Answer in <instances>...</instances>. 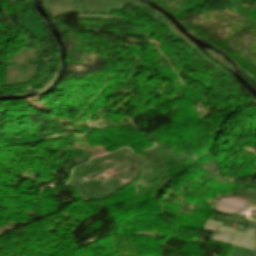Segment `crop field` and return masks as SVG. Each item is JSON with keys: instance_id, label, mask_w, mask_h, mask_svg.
I'll return each mask as SVG.
<instances>
[{"instance_id": "obj_3", "label": "crop field", "mask_w": 256, "mask_h": 256, "mask_svg": "<svg viewBox=\"0 0 256 256\" xmlns=\"http://www.w3.org/2000/svg\"><path fill=\"white\" fill-rule=\"evenodd\" d=\"M256 232V231H255Z\"/></svg>"}, {"instance_id": "obj_2", "label": "crop field", "mask_w": 256, "mask_h": 256, "mask_svg": "<svg viewBox=\"0 0 256 256\" xmlns=\"http://www.w3.org/2000/svg\"><path fill=\"white\" fill-rule=\"evenodd\" d=\"M220 225L221 224H219V223L207 221L205 229L213 230V232L211 234L212 237L210 238V240H217V241H221V242H225V243L229 244L233 234L217 232Z\"/></svg>"}, {"instance_id": "obj_1", "label": "crop field", "mask_w": 256, "mask_h": 256, "mask_svg": "<svg viewBox=\"0 0 256 256\" xmlns=\"http://www.w3.org/2000/svg\"><path fill=\"white\" fill-rule=\"evenodd\" d=\"M219 231L235 233L230 244L248 248L255 251L254 231H239L220 227Z\"/></svg>"}]
</instances>
